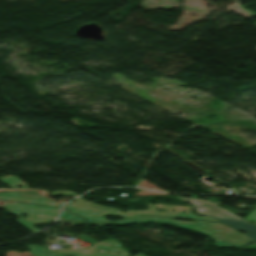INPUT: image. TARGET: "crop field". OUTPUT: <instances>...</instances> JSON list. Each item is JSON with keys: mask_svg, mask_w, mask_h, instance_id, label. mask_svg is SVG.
I'll return each instance as SVG.
<instances>
[{"mask_svg": "<svg viewBox=\"0 0 256 256\" xmlns=\"http://www.w3.org/2000/svg\"><path fill=\"white\" fill-rule=\"evenodd\" d=\"M59 219L89 224L88 222L72 215L66 210H63ZM148 222L170 224V225L181 227L186 230L199 232L201 234H204L210 237L212 240H214L215 241L214 246L217 248L241 247L243 245L253 242V240L245 237L241 233L236 232L222 224H217V223H208V222H199V221L185 222V221H176L174 219H167V218L142 217L138 219L119 221V222L110 223L106 225L144 224Z\"/></svg>", "mask_w": 256, "mask_h": 256, "instance_id": "crop-field-1", "label": "crop field"}, {"mask_svg": "<svg viewBox=\"0 0 256 256\" xmlns=\"http://www.w3.org/2000/svg\"><path fill=\"white\" fill-rule=\"evenodd\" d=\"M149 205V210L147 211H128L126 213H121L119 210L102 207L99 205L92 204L88 201H85L81 198L76 201L65 205L64 208L76 213L77 215L91 221V222H107L103 217L108 215H119L124 217L137 216L141 214L148 215H156V216H167V217H179V218H190V219H201V220H213L211 218L206 217H198L190 214V210L192 207H178V206H170V205H156L157 208L167 209L168 212L160 213L157 211L153 205ZM172 210H176V213H172ZM185 211L186 213H182Z\"/></svg>", "mask_w": 256, "mask_h": 256, "instance_id": "crop-field-2", "label": "crop field"}, {"mask_svg": "<svg viewBox=\"0 0 256 256\" xmlns=\"http://www.w3.org/2000/svg\"><path fill=\"white\" fill-rule=\"evenodd\" d=\"M0 209H6L9 213L19 217L20 219L15 221L34 233L38 230L33 228L32 225L36 223L43 225L49 221L55 220L59 208L0 201ZM21 213H25L29 215V217L23 220L20 216Z\"/></svg>", "mask_w": 256, "mask_h": 256, "instance_id": "crop-field-3", "label": "crop field"}, {"mask_svg": "<svg viewBox=\"0 0 256 256\" xmlns=\"http://www.w3.org/2000/svg\"><path fill=\"white\" fill-rule=\"evenodd\" d=\"M192 204L195 210L207 217L214 218L236 230L256 232V226L242 220L241 218L217 207L215 204L193 198L178 197Z\"/></svg>", "mask_w": 256, "mask_h": 256, "instance_id": "crop-field-4", "label": "crop field"}, {"mask_svg": "<svg viewBox=\"0 0 256 256\" xmlns=\"http://www.w3.org/2000/svg\"><path fill=\"white\" fill-rule=\"evenodd\" d=\"M85 252L87 253V256H130V253L122 249L119 242L113 239L98 243L95 246L86 249ZM116 252H119L120 254L117 255Z\"/></svg>", "mask_w": 256, "mask_h": 256, "instance_id": "crop-field-5", "label": "crop field"}, {"mask_svg": "<svg viewBox=\"0 0 256 256\" xmlns=\"http://www.w3.org/2000/svg\"><path fill=\"white\" fill-rule=\"evenodd\" d=\"M0 199L5 200H14L42 205H53V206H61V204L51 202L46 198L40 196L37 193L33 192H13V193H0Z\"/></svg>", "mask_w": 256, "mask_h": 256, "instance_id": "crop-field-6", "label": "crop field"}, {"mask_svg": "<svg viewBox=\"0 0 256 256\" xmlns=\"http://www.w3.org/2000/svg\"><path fill=\"white\" fill-rule=\"evenodd\" d=\"M27 247L30 249L31 254L35 256H61L37 245H29Z\"/></svg>", "mask_w": 256, "mask_h": 256, "instance_id": "crop-field-7", "label": "crop field"}, {"mask_svg": "<svg viewBox=\"0 0 256 256\" xmlns=\"http://www.w3.org/2000/svg\"><path fill=\"white\" fill-rule=\"evenodd\" d=\"M0 182H2L3 184L7 185L10 188H16L15 185H21L27 188L24 182H22L21 180L14 176L2 177L0 178Z\"/></svg>", "mask_w": 256, "mask_h": 256, "instance_id": "crop-field-8", "label": "crop field"}, {"mask_svg": "<svg viewBox=\"0 0 256 256\" xmlns=\"http://www.w3.org/2000/svg\"><path fill=\"white\" fill-rule=\"evenodd\" d=\"M57 253L60 254H66V255H72V256H84V253L81 251L69 249L67 251H56Z\"/></svg>", "mask_w": 256, "mask_h": 256, "instance_id": "crop-field-9", "label": "crop field"}, {"mask_svg": "<svg viewBox=\"0 0 256 256\" xmlns=\"http://www.w3.org/2000/svg\"><path fill=\"white\" fill-rule=\"evenodd\" d=\"M54 194H60V195H75L72 192H64V191H56Z\"/></svg>", "mask_w": 256, "mask_h": 256, "instance_id": "crop-field-10", "label": "crop field"}, {"mask_svg": "<svg viewBox=\"0 0 256 256\" xmlns=\"http://www.w3.org/2000/svg\"><path fill=\"white\" fill-rule=\"evenodd\" d=\"M244 234L256 240V234H248V233H244Z\"/></svg>", "mask_w": 256, "mask_h": 256, "instance_id": "crop-field-11", "label": "crop field"}, {"mask_svg": "<svg viewBox=\"0 0 256 256\" xmlns=\"http://www.w3.org/2000/svg\"><path fill=\"white\" fill-rule=\"evenodd\" d=\"M136 256H144V255L140 253V254H138V255H136Z\"/></svg>", "mask_w": 256, "mask_h": 256, "instance_id": "crop-field-12", "label": "crop field"}]
</instances>
